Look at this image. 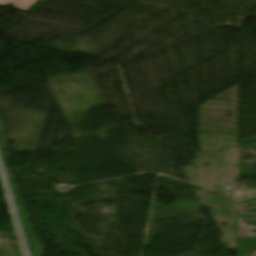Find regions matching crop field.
Returning a JSON list of instances; mask_svg holds the SVG:
<instances>
[{"label": "crop field", "instance_id": "8a807250", "mask_svg": "<svg viewBox=\"0 0 256 256\" xmlns=\"http://www.w3.org/2000/svg\"><path fill=\"white\" fill-rule=\"evenodd\" d=\"M37 0H0V6L6 7L13 2L16 9L27 11Z\"/></svg>", "mask_w": 256, "mask_h": 256}]
</instances>
